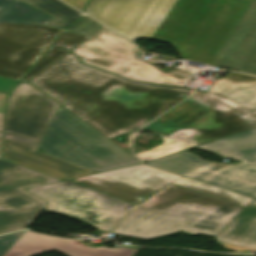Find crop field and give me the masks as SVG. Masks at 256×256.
Instances as JSON below:
<instances>
[{"label": "crop field", "mask_w": 256, "mask_h": 256, "mask_svg": "<svg viewBox=\"0 0 256 256\" xmlns=\"http://www.w3.org/2000/svg\"><path fill=\"white\" fill-rule=\"evenodd\" d=\"M249 0H91L84 11L120 35L170 43L211 65Z\"/></svg>", "instance_id": "8a807250"}, {"label": "crop field", "mask_w": 256, "mask_h": 256, "mask_svg": "<svg viewBox=\"0 0 256 256\" xmlns=\"http://www.w3.org/2000/svg\"><path fill=\"white\" fill-rule=\"evenodd\" d=\"M78 60L69 53L31 83L109 139L143 126L191 92L126 81Z\"/></svg>", "instance_id": "ac0d7876"}, {"label": "crop field", "mask_w": 256, "mask_h": 256, "mask_svg": "<svg viewBox=\"0 0 256 256\" xmlns=\"http://www.w3.org/2000/svg\"><path fill=\"white\" fill-rule=\"evenodd\" d=\"M256 127V77L228 71L206 93L188 100L143 129H152L166 143L135 153L148 161Z\"/></svg>", "instance_id": "34b2d1b8"}, {"label": "crop field", "mask_w": 256, "mask_h": 256, "mask_svg": "<svg viewBox=\"0 0 256 256\" xmlns=\"http://www.w3.org/2000/svg\"><path fill=\"white\" fill-rule=\"evenodd\" d=\"M242 210L223 199L172 185L135 209L112 232L142 239L178 229L216 236Z\"/></svg>", "instance_id": "412701ff"}, {"label": "crop field", "mask_w": 256, "mask_h": 256, "mask_svg": "<svg viewBox=\"0 0 256 256\" xmlns=\"http://www.w3.org/2000/svg\"><path fill=\"white\" fill-rule=\"evenodd\" d=\"M49 98L28 82L15 87L7 104L3 158L65 179L96 173L37 151L58 106Z\"/></svg>", "instance_id": "f4fd0767"}, {"label": "crop field", "mask_w": 256, "mask_h": 256, "mask_svg": "<svg viewBox=\"0 0 256 256\" xmlns=\"http://www.w3.org/2000/svg\"><path fill=\"white\" fill-rule=\"evenodd\" d=\"M194 148L220 157L236 159L241 163H211L185 177L256 198V128ZM191 149L193 148L145 164L182 175L209 163L190 153Z\"/></svg>", "instance_id": "dd49c442"}, {"label": "crop field", "mask_w": 256, "mask_h": 256, "mask_svg": "<svg viewBox=\"0 0 256 256\" xmlns=\"http://www.w3.org/2000/svg\"><path fill=\"white\" fill-rule=\"evenodd\" d=\"M39 148L45 154L97 172L139 164L65 107L57 109Z\"/></svg>", "instance_id": "e52e79f7"}, {"label": "crop field", "mask_w": 256, "mask_h": 256, "mask_svg": "<svg viewBox=\"0 0 256 256\" xmlns=\"http://www.w3.org/2000/svg\"><path fill=\"white\" fill-rule=\"evenodd\" d=\"M27 191L48 202L45 210L79 219L104 232L111 230L128 213L125 209L132 206L70 180Z\"/></svg>", "instance_id": "d8731c3e"}, {"label": "crop field", "mask_w": 256, "mask_h": 256, "mask_svg": "<svg viewBox=\"0 0 256 256\" xmlns=\"http://www.w3.org/2000/svg\"><path fill=\"white\" fill-rule=\"evenodd\" d=\"M133 48L134 46L127 40L104 29L73 52L85 63L128 79L181 87H185L191 79V75L173 70L165 73L148 63L136 61L132 53Z\"/></svg>", "instance_id": "5a996713"}, {"label": "crop field", "mask_w": 256, "mask_h": 256, "mask_svg": "<svg viewBox=\"0 0 256 256\" xmlns=\"http://www.w3.org/2000/svg\"><path fill=\"white\" fill-rule=\"evenodd\" d=\"M60 181L37 171L0 160V234L24 229L47 202L24 188Z\"/></svg>", "instance_id": "3316defc"}, {"label": "crop field", "mask_w": 256, "mask_h": 256, "mask_svg": "<svg viewBox=\"0 0 256 256\" xmlns=\"http://www.w3.org/2000/svg\"><path fill=\"white\" fill-rule=\"evenodd\" d=\"M62 30L0 23V76L19 80Z\"/></svg>", "instance_id": "28ad6ade"}, {"label": "crop field", "mask_w": 256, "mask_h": 256, "mask_svg": "<svg viewBox=\"0 0 256 256\" xmlns=\"http://www.w3.org/2000/svg\"><path fill=\"white\" fill-rule=\"evenodd\" d=\"M176 179H178L176 175L137 165L97 173L73 181L137 205Z\"/></svg>", "instance_id": "d1516ede"}, {"label": "crop field", "mask_w": 256, "mask_h": 256, "mask_svg": "<svg viewBox=\"0 0 256 256\" xmlns=\"http://www.w3.org/2000/svg\"><path fill=\"white\" fill-rule=\"evenodd\" d=\"M212 65L256 75V1H251Z\"/></svg>", "instance_id": "22f410ed"}, {"label": "crop field", "mask_w": 256, "mask_h": 256, "mask_svg": "<svg viewBox=\"0 0 256 256\" xmlns=\"http://www.w3.org/2000/svg\"><path fill=\"white\" fill-rule=\"evenodd\" d=\"M59 250L68 256H132L131 248H92L70 239L24 231L4 256H33L44 251Z\"/></svg>", "instance_id": "cbeb9de0"}, {"label": "crop field", "mask_w": 256, "mask_h": 256, "mask_svg": "<svg viewBox=\"0 0 256 256\" xmlns=\"http://www.w3.org/2000/svg\"><path fill=\"white\" fill-rule=\"evenodd\" d=\"M230 250L256 251V199L237 215L216 237Z\"/></svg>", "instance_id": "5142ce71"}, {"label": "crop field", "mask_w": 256, "mask_h": 256, "mask_svg": "<svg viewBox=\"0 0 256 256\" xmlns=\"http://www.w3.org/2000/svg\"><path fill=\"white\" fill-rule=\"evenodd\" d=\"M53 17L55 19L51 21L48 26L64 29L79 18L82 14L75 11L71 7L62 3L59 0H21Z\"/></svg>", "instance_id": "d9b57169"}, {"label": "crop field", "mask_w": 256, "mask_h": 256, "mask_svg": "<svg viewBox=\"0 0 256 256\" xmlns=\"http://www.w3.org/2000/svg\"><path fill=\"white\" fill-rule=\"evenodd\" d=\"M54 18L17 0L2 13L0 22L46 25Z\"/></svg>", "instance_id": "733c2abd"}, {"label": "crop field", "mask_w": 256, "mask_h": 256, "mask_svg": "<svg viewBox=\"0 0 256 256\" xmlns=\"http://www.w3.org/2000/svg\"><path fill=\"white\" fill-rule=\"evenodd\" d=\"M174 185L181 186L200 193L220 197L243 208H245L249 203H251L254 200V198L238 194L235 192H231L228 190H224L221 188H217L214 186H210L185 177L175 182Z\"/></svg>", "instance_id": "4a817a6b"}, {"label": "crop field", "mask_w": 256, "mask_h": 256, "mask_svg": "<svg viewBox=\"0 0 256 256\" xmlns=\"http://www.w3.org/2000/svg\"><path fill=\"white\" fill-rule=\"evenodd\" d=\"M66 52L67 51L50 47V49L45 53V55L37 62V64L27 73V75L22 80H29L31 77L36 75L38 72H40L45 67L50 65L52 62L57 60L59 57L64 55Z\"/></svg>", "instance_id": "bc2a9ffb"}, {"label": "crop field", "mask_w": 256, "mask_h": 256, "mask_svg": "<svg viewBox=\"0 0 256 256\" xmlns=\"http://www.w3.org/2000/svg\"><path fill=\"white\" fill-rule=\"evenodd\" d=\"M86 38L87 36L64 31L52 46L70 50Z\"/></svg>", "instance_id": "214f88e0"}, {"label": "crop field", "mask_w": 256, "mask_h": 256, "mask_svg": "<svg viewBox=\"0 0 256 256\" xmlns=\"http://www.w3.org/2000/svg\"><path fill=\"white\" fill-rule=\"evenodd\" d=\"M101 27H102L101 24L86 17L83 20H81L80 22H78L75 25H73L72 27H70L69 29H67V31L90 36L93 33H95L97 30H99Z\"/></svg>", "instance_id": "92a150f3"}, {"label": "crop field", "mask_w": 256, "mask_h": 256, "mask_svg": "<svg viewBox=\"0 0 256 256\" xmlns=\"http://www.w3.org/2000/svg\"><path fill=\"white\" fill-rule=\"evenodd\" d=\"M21 233L22 232H18V233L0 236V256L4 255V253L11 247V245L21 235Z\"/></svg>", "instance_id": "dafd665d"}, {"label": "crop field", "mask_w": 256, "mask_h": 256, "mask_svg": "<svg viewBox=\"0 0 256 256\" xmlns=\"http://www.w3.org/2000/svg\"><path fill=\"white\" fill-rule=\"evenodd\" d=\"M17 83V80L0 77V90L10 92L11 88Z\"/></svg>", "instance_id": "00972430"}, {"label": "crop field", "mask_w": 256, "mask_h": 256, "mask_svg": "<svg viewBox=\"0 0 256 256\" xmlns=\"http://www.w3.org/2000/svg\"><path fill=\"white\" fill-rule=\"evenodd\" d=\"M64 1L81 11V9L84 7V5L88 0H64Z\"/></svg>", "instance_id": "a9b5d70f"}, {"label": "crop field", "mask_w": 256, "mask_h": 256, "mask_svg": "<svg viewBox=\"0 0 256 256\" xmlns=\"http://www.w3.org/2000/svg\"><path fill=\"white\" fill-rule=\"evenodd\" d=\"M9 94L0 92V114L4 113L5 102Z\"/></svg>", "instance_id": "4177f3b9"}, {"label": "crop field", "mask_w": 256, "mask_h": 256, "mask_svg": "<svg viewBox=\"0 0 256 256\" xmlns=\"http://www.w3.org/2000/svg\"><path fill=\"white\" fill-rule=\"evenodd\" d=\"M14 1H16V0H0V12H2L5 8H7Z\"/></svg>", "instance_id": "730fd06b"}, {"label": "crop field", "mask_w": 256, "mask_h": 256, "mask_svg": "<svg viewBox=\"0 0 256 256\" xmlns=\"http://www.w3.org/2000/svg\"><path fill=\"white\" fill-rule=\"evenodd\" d=\"M4 114L0 115V131L3 130Z\"/></svg>", "instance_id": "eef30255"}, {"label": "crop field", "mask_w": 256, "mask_h": 256, "mask_svg": "<svg viewBox=\"0 0 256 256\" xmlns=\"http://www.w3.org/2000/svg\"><path fill=\"white\" fill-rule=\"evenodd\" d=\"M1 137H2V132H0V147H1Z\"/></svg>", "instance_id": "ae1a2a85"}]
</instances>
